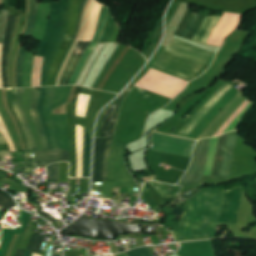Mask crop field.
Wrapping results in <instances>:
<instances>
[{
    "label": "crop field",
    "instance_id": "crop-field-6",
    "mask_svg": "<svg viewBox=\"0 0 256 256\" xmlns=\"http://www.w3.org/2000/svg\"><path fill=\"white\" fill-rule=\"evenodd\" d=\"M68 1L69 0H61L60 3H51L50 17L52 18L49 20L45 38L42 42L41 49L36 56V58L43 59V64L42 60L35 59L33 67L32 87L39 86L41 64L42 72L40 78V86H44L43 81L47 66L63 30Z\"/></svg>",
    "mask_w": 256,
    "mask_h": 256
},
{
    "label": "crop field",
    "instance_id": "crop-field-27",
    "mask_svg": "<svg viewBox=\"0 0 256 256\" xmlns=\"http://www.w3.org/2000/svg\"><path fill=\"white\" fill-rule=\"evenodd\" d=\"M108 12H109V10L105 6H103V8L100 12V15H99V21L97 24L96 32L93 37V41H95V42H98L102 35L105 19L107 17Z\"/></svg>",
    "mask_w": 256,
    "mask_h": 256
},
{
    "label": "crop field",
    "instance_id": "crop-field-18",
    "mask_svg": "<svg viewBox=\"0 0 256 256\" xmlns=\"http://www.w3.org/2000/svg\"><path fill=\"white\" fill-rule=\"evenodd\" d=\"M248 99L239 107V109L225 122V124L216 132L213 136H218L223 133H227L236 129L238 123L244 116V114L254 106Z\"/></svg>",
    "mask_w": 256,
    "mask_h": 256
},
{
    "label": "crop field",
    "instance_id": "crop-field-38",
    "mask_svg": "<svg viewBox=\"0 0 256 256\" xmlns=\"http://www.w3.org/2000/svg\"><path fill=\"white\" fill-rule=\"evenodd\" d=\"M17 99H18V109L20 111V113L22 114L24 120H25V123H26V127H27V130L29 132V135H30V138H31V142H32V145H33V149L34 150H37L36 147H35V142H34V139H33V136H32V133L30 131V128H29V125H28V122L22 112V109H21V89H17Z\"/></svg>",
    "mask_w": 256,
    "mask_h": 256
},
{
    "label": "crop field",
    "instance_id": "crop-field-36",
    "mask_svg": "<svg viewBox=\"0 0 256 256\" xmlns=\"http://www.w3.org/2000/svg\"><path fill=\"white\" fill-rule=\"evenodd\" d=\"M0 131L4 135V137L6 138L10 150L11 151H16L15 147H14V144H13V142L11 140V137L9 135V132H8L6 126H5V124H4V122H3L2 118H1V115H0Z\"/></svg>",
    "mask_w": 256,
    "mask_h": 256
},
{
    "label": "crop field",
    "instance_id": "crop-field-43",
    "mask_svg": "<svg viewBox=\"0 0 256 256\" xmlns=\"http://www.w3.org/2000/svg\"><path fill=\"white\" fill-rule=\"evenodd\" d=\"M2 46L3 45H0V88H3L2 80H1V50H2Z\"/></svg>",
    "mask_w": 256,
    "mask_h": 256
},
{
    "label": "crop field",
    "instance_id": "crop-field-3",
    "mask_svg": "<svg viewBox=\"0 0 256 256\" xmlns=\"http://www.w3.org/2000/svg\"><path fill=\"white\" fill-rule=\"evenodd\" d=\"M237 138V132H231L197 142L192 164L179 185L197 183L203 175L229 178Z\"/></svg>",
    "mask_w": 256,
    "mask_h": 256
},
{
    "label": "crop field",
    "instance_id": "crop-field-24",
    "mask_svg": "<svg viewBox=\"0 0 256 256\" xmlns=\"http://www.w3.org/2000/svg\"><path fill=\"white\" fill-rule=\"evenodd\" d=\"M34 54L26 53L25 60L23 64V79L22 87H31V76L32 67L34 63Z\"/></svg>",
    "mask_w": 256,
    "mask_h": 256
},
{
    "label": "crop field",
    "instance_id": "crop-field-20",
    "mask_svg": "<svg viewBox=\"0 0 256 256\" xmlns=\"http://www.w3.org/2000/svg\"><path fill=\"white\" fill-rule=\"evenodd\" d=\"M15 18L16 16H9L8 18L7 28L5 32V39H4V47L2 50V79H3L4 88L8 87L7 78H6L7 55L10 47V37L12 34Z\"/></svg>",
    "mask_w": 256,
    "mask_h": 256
},
{
    "label": "crop field",
    "instance_id": "crop-field-17",
    "mask_svg": "<svg viewBox=\"0 0 256 256\" xmlns=\"http://www.w3.org/2000/svg\"><path fill=\"white\" fill-rule=\"evenodd\" d=\"M107 140L96 138L94 147V174L93 182H102V165Z\"/></svg>",
    "mask_w": 256,
    "mask_h": 256
},
{
    "label": "crop field",
    "instance_id": "crop-field-19",
    "mask_svg": "<svg viewBox=\"0 0 256 256\" xmlns=\"http://www.w3.org/2000/svg\"><path fill=\"white\" fill-rule=\"evenodd\" d=\"M132 87H133V86L130 85V86L122 93V95L117 99V101L115 102L113 117H112L110 129H109L107 150H106V155H105V159H104V166H103V182H106V167H107V161H108V157H109V152H110V147H111V142H112V136H113V130H114L116 118H117V115H118L119 107H120V105H121L123 99L125 98V96H126V95L129 93V91L132 89Z\"/></svg>",
    "mask_w": 256,
    "mask_h": 256
},
{
    "label": "crop field",
    "instance_id": "crop-field-32",
    "mask_svg": "<svg viewBox=\"0 0 256 256\" xmlns=\"http://www.w3.org/2000/svg\"><path fill=\"white\" fill-rule=\"evenodd\" d=\"M45 90H46V88H42V92H41L39 103H38V111H39L40 118H41V120L43 122V125H44L46 137H47V140H48V146H49V149H50L52 147H51V144H50V140H49V136H48L44 116H43V113H42V106H43V101H44V96H45Z\"/></svg>",
    "mask_w": 256,
    "mask_h": 256
},
{
    "label": "crop field",
    "instance_id": "crop-field-50",
    "mask_svg": "<svg viewBox=\"0 0 256 256\" xmlns=\"http://www.w3.org/2000/svg\"><path fill=\"white\" fill-rule=\"evenodd\" d=\"M0 228H1V224H0Z\"/></svg>",
    "mask_w": 256,
    "mask_h": 256
},
{
    "label": "crop field",
    "instance_id": "crop-field-44",
    "mask_svg": "<svg viewBox=\"0 0 256 256\" xmlns=\"http://www.w3.org/2000/svg\"><path fill=\"white\" fill-rule=\"evenodd\" d=\"M25 250L18 249L15 256H23Z\"/></svg>",
    "mask_w": 256,
    "mask_h": 256
},
{
    "label": "crop field",
    "instance_id": "crop-field-16",
    "mask_svg": "<svg viewBox=\"0 0 256 256\" xmlns=\"http://www.w3.org/2000/svg\"><path fill=\"white\" fill-rule=\"evenodd\" d=\"M101 6L102 5H99L96 2V0H92L91 4L89 6V9L87 11L86 23H85V27H84V31H83L81 40H91L92 39L94 32H95L98 14L101 9Z\"/></svg>",
    "mask_w": 256,
    "mask_h": 256
},
{
    "label": "crop field",
    "instance_id": "crop-field-12",
    "mask_svg": "<svg viewBox=\"0 0 256 256\" xmlns=\"http://www.w3.org/2000/svg\"><path fill=\"white\" fill-rule=\"evenodd\" d=\"M238 93L233 87L228 94L217 104V106L205 117V119L194 129V131L188 136V138L196 139L199 134L206 128V126L214 119L219 113V109H223L229 101Z\"/></svg>",
    "mask_w": 256,
    "mask_h": 256
},
{
    "label": "crop field",
    "instance_id": "crop-field-25",
    "mask_svg": "<svg viewBox=\"0 0 256 256\" xmlns=\"http://www.w3.org/2000/svg\"><path fill=\"white\" fill-rule=\"evenodd\" d=\"M97 46V43L91 42V44L89 45V47L86 49V51L84 52L71 80H70V84L69 85H73L76 80L78 79L85 63L87 62L89 56L91 55V53L93 52V50L95 49V47Z\"/></svg>",
    "mask_w": 256,
    "mask_h": 256
},
{
    "label": "crop field",
    "instance_id": "crop-field-33",
    "mask_svg": "<svg viewBox=\"0 0 256 256\" xmlns=\"http://www.w3.org/2000/svg\"><path fill=\"white\" fill-rule=\"evenodd\" d=\"M12 95H13V108L15 110V112L17 113L21 123H22V126H23V129H24V132H25V136H26V140H27V144H28V148L29 150H33L32 149V145H31V142H30V139L27 135V131H26V128H25V124H24V121L19 113V111L17 110V104H16V89H12Z\"/></svg>",
    "mask_w": 256,
    "mask_h": 256
},
{
    "label": "crop field",
    "instance_id": "crop-field-14",
    "mask_svg": "<svg viewBox=\"0 0 256 256\" xmlns=\"http://www.w3.org/2000/svg\"><path fill=\"white\" fill-rule=\"evenodd\" d=\"M36 165L48 166L55 162L69 161V152L64 150H46L34 152Z\"/></svg>",
    "mask_w": 256,
    "mask_h": 256
},
{
    "label": "crop field",
    "instance_id": "crop-field-5",
    "mask_svg": "<svg viewBox=\"0 0 256 256\" xmlns=\"http://www.w3.org/2000/svg\"><path fill=\"white\" fill-rule=\"evenodd\" d=\"M205 17L206 16H204L200 12L197 15L187 9L182 21L180 22L175 32V35H178L185 39L192 40L195 32L197 31V29L199 28V26L201 25ZM240 17L241 15L224 12L223 17L221 18L215 30L213 31L207 44L221 47L222 42L227 37V35L233 32L237 28L240 21ZM213 18L214 17H206V19L204 20V22L196 32L193 38L194 41H197L200 43L202 37L204 36Z\"/></svg>",
    "mask_w": 256,
    "mask_h": 256
},
{
    "label": "crop field",
    "instance_id": "crop-field-28",
    "mask_svg": "<svg viewBox=\"0 0 256 256\" xmlns=\"http://www.w3.org/2000/svg\"><path fill=\"white\" fill-rule=\"evenodd\" d=\"M113 106H114V104H111L110 109H106L104 112L99 137L107 138Z\"/></svg>",
    "mask_w": 256,
    "mask_h": 256
},
{
    "label": "crop field",
    "instance_id": "crop-field-41",
    "mask_svg": "<svg viewBox=\"0 0 256 256\" xmlns=\"http://www.w3.org/2000/svg\"><path fill=\"white\" fill-rule=\"evenodd\" d=\"M128 256H151L150 252L148 251L147 247L127 251Z\"/></svg>",
    "mask_w": 256,
    "mask_h": 256
},
{
    "label": "crop field",
    "instance_id": "crop-field-21",
    "mask_svg": "<svg viewBox=\"0 0 256 256\" xmlns=\"http://www.w3.org/2000/svg\"><path fill=\"white\" fill-rule=\"evenodd\" d=\"M49 6L50 4H39L38 5V17L34 32V37L43 40L47 22H48V16H49Z\"/></svg>",
    "mask_w": 256,
    "mask_h": 256
},
{
    "label": "crop field",
    "instance_id": "crop-field-35",
    "mask_svg": "<svg viewBox=\"0 0 256 256\" xmlns=\"http://www.w3.org/2000/svg\"><path fill=\"white\" fill-rule=\"evenodd\" d=\"M9 11L1 10V17H0V44H3L4 39V31L7 23Z\"/></svg>",
    "mask_w": 256,
    "mask_h": 256
},
{
    "label": "crop field",
    "instance_id": "crop-field-42",
    "mask_svg": "<svg viewBox=\"0 0 256 256\" xmlns=\"http://www.w3.org/2000/svg\"><path fill=\"white\" fill-rule=\"evenodd\" d=\"M86 1H87V0H83V2H82V4H81V7H80V9H79L76 31H75V33H74V35H73V37H72L73 39L76 38V35H77V32H78V28H79V24H80L81 14H82L83 7H84V4H85Z\"/></svg>",
    "mask_w": 256,
    "mask_h": 256
},
{
    "label": "crop field",
    "instance_id": "crop-field-37",
    "mask_svg": "<svg viewBox=\"0 0 256 256\" xmlns=\"http://www.w3.org/2000/svg\"><path fill=\"white\" fill-rule=\"evenodd\" d=\"M0 205L6 209H10L12 207H15V203L14 201L9 197L7 196L6 194L2 193L0 191Z\"/></svg>",
    "mask_w": 256,
    "mask_h": 256
},
{
    "label": "crop field",
    "instance_id": "crop-field-29",
    "mask_svg": "<svg viewBox=\"0 0 256 256\" xmlns=\"http://www.w3.org/2000/svg\"><path fill=\"white\" fill-rule=\"evenodd\" d=\"M71 103H69L67 105L68 132H69V142H70V152H71V159H70L71 171H70V177H72V173H73V138H72V122H71Z\"/></svg>",
    "mask_w": 256,
    "mask_h": 256
},
{
    "label": "crop field",
    "instance_id": "crop-field-46",
    "mask_svg": "<svg viewBox=\"0 0 256 256\" xmlns=\"http://www.w3.org/2000/svg\"><path fill=\"white\" fill-rule=\"evenodd\" d=\"M31 255H32V253L25 251V255L24 256H31Z\"/></svg>",
    "mask_w": 256,
    "mask_h": 256
},
{
    "label": "crop field",
    "instance_id": "crop-field-13",
    "mask_svg": "<svg viewBox=\"0 0 256 256\" xmlns=\"http://www.w3.org/2000/svg\"><path fill=\"white\" fill-rule=\"evenodd\" d=\"M31 216H32L31 214L26 213V212L23 211L22 214H21V217H20V220L22 222V227L16 228V229L3 227L2 242L0 244V256H5L6 255L9 244H10L11 239H12L14 234H23L24 233Z\"/></svg>",
    "mask_w": 256,
    "mask_h": 256
},
{
    "label": "crop field",
    "instance_id": "crop-field-23",
    "mask_svg": "<svg viewBox=\"0 0 256 256\" xmlns=\"http://www.w3.org/2000/svg\"><path fill=\"white\" fill-rule=\"evenodd\" d=\"M92 138L84 129L83 177H89Z\"/></svg>",
    "mask_w": 256,
    "mask_h": 256
},
{
    "label": "crop field",
    "instance_id": "crop-field-15",
    "mask_svg": "<svg viewBox=\"0 0 256 256\" xmlns=\"http://www.w3.org/2000/svg\"><path fill=\"white\" fill-rule=\"evenodd\" d=\"M90 44V42H80L77 44L73 54L71 55L66 69L61 77L60 84L59 85H68L69 79L71 75L73 74L80 58L87 46Z\"/></svg>",
    "mask_w": 256,
    "mask_h": 256
},
{
    "label": "crop field",
    "instance_id": "crop-field-30",
    "mask_svg": "<svg viewBox=\"0 0 256 256\" xmlns=\"http://www.w3.org/2000/svg\"><path fill=\"white\" fill-rule=\"evenodd\" d=\"M43 239L44 236L33 234L27 249L40 254Z\"/></svg>",
    "mask_w": 256,
    "mask_h": 256
},
{
    "label": "crop field",
    "instance_id": "crop-field-49",
    "mask_svg": "<svg viewBox=\"0 0 256 256\" xmlns=\"http://www.w3.org/2000/svg\"><path fill=\"white\" fill-rule=\"evenodd\" d=\"M33 256H36V254L33 253ZM37 256H41V255H38V254H37Z\"/></svg>",
    "mask_w": 256,
    "mask_h": 256
},
{
    "label": "crop field",
    "instance_id": "crop-field-10",
    "mask_svg": "<svg viewBox=\"0 0 256 256\" xmlns=\"http://www.w3.org/2000/svg\"><path fill=\"white\" fill-rule=\"evenodd\" d=\"M242 93H238L231 102L215 117L208 127L200 134L197 140L206 137H212L215 132L224 124V122L237 110V108L246 100L242 97Z\"/></svg>",
    "mask_w": 256,
    "mask_h": 256
},
{
    "label": "crop field",
    "instance_id": "crop-field-26",
    "mask_svg": "<svg viewBox=\"0 0 256 256\" xmlns=\"http://www.w3.org/2000/svg\"><path fill=\"white\" fill-rule=\"evenodd\" d=\"M37 17V0H31L30 4V16L25 36H32L35 27V21Z\"/></svg>",
    "mask_w": 256,
    "mask_h": 256
},
{
    "label": "crop field",
    "instance_id": "crop-field-1",
    "mask_svg": "<svg viewBox=\"0 0 256 256\" xmlns=\"http://www.w3.org/2000/svg\"><path fill=\"white\" fill-rule=\"evenodd\" d=\"M169 101L168 98L136 86L124 99L116 122L107 167V182H114V188L136 186L123 165L126 146L142 137L148 115Z\"/></svg>",
    "mask_w": 256,
    "mask_h": 256
},
{
    "label": "crop field",
    "instance_id": "crop-field-11",
    "mask_svg": "<svg viewBox=\"0 0 256 256\" xmlns=\"http://www.w3.org/2000/svg\"><path fill=\"white\" fill-rule=\"evenodd\" d=\"M82 0H74L73 2V5L71 7V16H70V22H69V26H68V31H67V34L59 48V51L57 53V56L51 66V70H50V73H49V81H48V86H52V79H53V76L56 72V69L59 65V62H60V59L75 31V26H76V19H77V13H78V9L80 7V4H81Z\"/></svg>",
    "mask_w": 256,
    "mask_h": 256
},
{
    "label": "crop field",
    "instance_id": "crop-field-9",
    "mask_svg": "<svg viewBox=\"0 0 256 256\" xmlns=\"http://www.w3.org/2000/svg\"><path fill=\"white\" fill-rule=\"evenodd\" d=\"M242 190L225 192L219 224H236L241 202Z\"/></svg>",
    "mask_w": 256,
    "mask_h": 256
},
{
    "label": "crop field",
    "instance_id": "crop-field-48",
    "mask_svg": "<svg viewBox=\"0 0 256 256\" xmlns=\"http://www.w3.org/2000/svg\"><path fill=\"white\" fill-rule=\"evenodd\" d=\"M1 3H5V0H1Z\"/></svg>",
    "mask_w": 256,
    "mask_h": 256
},
{
    "label": "crop field",
    "instance_id": "crop-field-4",
    "mask_svg": "<svg viewBox=\"0 0 256 256\" xmlns=\"http://www.w3.org/2000/svg\"><path fill=\"white\" fill-rule=\"evenodd\" d=\"M214 53L172 38L152 69L189 82L210 66Z\"/></svg>",
    "mask_w": 256,
    "mask_h": 256
},
{
    "label": "crop field",
    "instance_id": "crop-field-45",
    "mask_svg": "<svg viewBox=\"0 0 256 256\" xmlns=\"http://www.w3.org/2000/svg\"><path fill=\"white\" fill-rule=\"evenodd\" d=\"M0 144H6V141L2 137L1 133H0Z\"/></svg>",
    "mask_w": 256,
    "mask_h": 256
},
{
    "label": "crop field",
    "instance_id": "crop-field-22",
    "mask_svg": "<svg viewBox=\"0 0 256 256\" xmlns=\"http://www.w3.org/2000/svg\"><path fill=\"white\" fill-rule=\"evenodd\" d=\"M40 92L41 91H37L36 88H32L31 114H32L34 123L37 127L38 133L40 135L43 149L45 150V149H48L47 141H46V137H45V134L43 131L42 122L39 118L38 111H37V103H38Z\"/></svg>",
    "mask_w": 256,
    "mask_h": 256
},
{
    "label": "crop field",
    "instance_id": "crop-field-31",
    "mask_svg": "<svg viewBox=\"0 0 256 256\" xmlns=\"http://www.w3.org/2000/svg\"><path fill=\"white\" fill-rule=\"evenodd\" d=\"M114 23H115V21H114L112 15H111V13L109 12L108 17H107V21H106V25H105V29H104L102 38L100 40V43L108 42V40L111 36V33H112Z\"/></svg>",
    "mask_w": 256,
    "mask_h": 256
},
{
    "label": "crop field",
    "instance_id": "crop-field-2",
    "mask_svg": "<svg viewBox=\"0 0 256 256\" xmlns=\"http://www.w3.org/2000/svg\"><path fill=\"white\" fill-rule=\"evenodd\" d=\"M224 191H201L185 202L179 228L173 230L176 242L217 238Z\"/></svg>",
    "mask_w": 256,
    "mask_h": 256
},
{
    "label": "crop field",
    "instance_id": "crop-field-47",
    "mask_svg": "<svg viewBox=\"0 0 256 256\" xmlns=\"http://www.w3.org/2000/svg\"><path fill=\"white\" fill-rule=\"evenodd\" d=\"M5 214H6V213H4V212L0 211V216H1V217H3V218H4Z\"/></svg>",
    "mask_w": 256,
    "mask_h": 256
},
{
    "label": "crop field",
    "instance_id": "crop-field-39",
    "mask_svg": "<svg viewBox=\"0 0 256 256\" xmlns=\"http://www.w3.org/2000/svg\"><path fill=\"white\" fill-rule=\"evenodd\" d=\"M58 164H53L49 166V182L58 181Z\"/></svg>",
    "mask_w": 256,
    "mask_h": 256
},
{
    "label": "crop field",
    "instance_id": "crop-field-34",
    "mask_svg": "<svg viewBox=\"0 0 256 256\" xmlns=\"http://www.w3.org/2000/svg\"><path fill=\"white\" fill-rule=\"evenodd\" d=\"M26 48H22L20 55L18 57V62H17V70H16V75H17V87H21V73H22V63L24 59Z\"/></svg>",
    "mask_w": 256,
    "mask_h": 256
},
{
    "label": "crop field",
    "instance_id": "crop-field-7",
    "mask_svg": "<svg viewBox=\"0 0 256 256\" xmlns=\"http://www.w3.org/2000/svg\"><path fill=\"white\" fill-rule=\"evenodd\" d=\"M72 86L49 87L43 112L53 148L69 150L66 115H52V110L66 103Z\"/></svg>",
    "mask_w": 256,
    "mask_h": 256
},
{
    "label": "crop field",
    "instance_id": "crop-field-40",
    "mask_svg": "<svg viewBox=\"0 0 256 256\" xmlns=\"http://www.w3.org/2000/svg\"><path fill=\"white\" fill-rule=\"evenodd\" d=\"M68 163L60 164V182H67L68 180Z\"/></svg>",
    "mask_w": 256,
    "mask_h": 256
},
{
    "label": "crop field",
    "instance_id": "crop-field-8",
    "mask_svg": "<svg viewBox=\"0 0 256 256\" xmlns=\"http://www.w3.org/2000/svg\"><path fill=\"white\" fill-rule=\"evenodd\" d=\"M152 150L191 158L194 141L153 133Z\"/></svg>",
    "mask_w": 256,
    "mask_h": 256
}]
</instances>
